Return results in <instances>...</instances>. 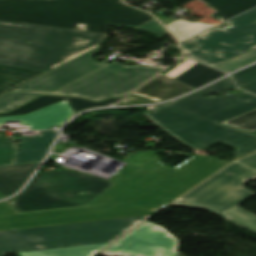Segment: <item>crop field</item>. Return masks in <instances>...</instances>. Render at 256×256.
I'll return each instance as SVG.
<instances>
[{
    "instance_id": "8a807250",
    "label": "crop field",
    "mask_w": 256,
    "mask_h": 256,
    "mask_svg": "<svg viewBox=\"0 0 256 256\" xmlns=\"http://www.w3.org/2000/svg\"><path fill=\"white\" fill-rule=\"evenodd\" d=\"M152 19L119 0H0V65L50 71L99 46L109 25Z\"/></svg>"
},
{
    "instance_id": "ac0d7876",
    "label": "crop field",
    "mask_w": 256,
    "mask_h": 256,
    "mask_svg": "<svg viewBox=\"0 0 256 256\" xmlns=\"http://www.w3.org/2000/svg\"><path fill=\"white\" fill-rule=\"evenodd\" d=\"M158 157L128 167L112 179L118 183L87 206L18 213L9 202H1L0 230L154 214L229 163L195 155L170 169Z\"/></svg>"
},
{
    "instance_id": "34b2d1b8",
    "label": "crop field",
    "mask_w": 256,
    "mask_h": 256,
    "mask_svg": "<svg viewBox=\"0 0 256 256\" xmlns=\"http://www.w3.org/2000/svg\"><path fill=\"white\" fill-rule=\"evenodd\" d=\"M232 88L228 76L200 90L201 94L155 106L143 114L194 149L206 150L209 144L222 142L236 148L237 158L256 151V135L218 123L256 108V96L245 91L210 99L203 96Z\"/></svg>"
},
{
    "instance_id": "412701ff",
    "label": "crop field",
    "mask_w": 256,
    "mask_h": 256,
    "mask_svg": "<svg viewBox=\"0 0 256 256\" xmlns=\"http://www.w3.org/2000/svg\"><path fill=\"white\" fill-rule=\"evenodd\" d=\"M149 216L0 231V256H93Z\"/></svg>"
},
{
    "instance_id": "f4fd0767",
    "label": "crop field",
    "mask_w": 256,
    "mask_h": 256,
    "mask_svg": "<svg viewBox=\"0 0 256 256\" xmlns=\"http://www.w3.org/2000/svg\"><path fill=\"white\" fill-rule=\"evenodd\" d=\"M229 171L235 174H226ZM253 178H256V153L233 161L173 203L208 209L256 232V216L236 206L254 193L241 185Z\"/></svg>"
},
{
    "instance_id": "dd49c442",
    "label": "crop field",
    "mask_w": 256,
    "mask_h": 256,
    "mask_svg": "<svg viewBox=\"0 0 256 256\" xmlns=\"http://www.w3.org/2000/svg\"><path fill=\"white\" fill-rule=\"evenodd\" d=\"M113 184L72 171H37L11 204L18 212L87 205Z\"/></svg>"
},
{
    "instance_id": "e52e79f7",
    "label": "crop field",
    "mask_w": 256,
    "mask_h": 256,
    "mask_svg": "<svg viewBox=\"0 0 256 256\" xmlns=\"http://www.w3.org/2000/svg\"><path fill=\"white\" fill-rule=\"evenodd\" d=\"M227 23L226 30L214 27L182 42L186 54L213 66L256 47V8Z\"/></svg>"
},
{
    "instance_id": "d8731c3e",
    "label": "crop field",
    "mask_w": 256,
    "mask_h": 256,
    "mask_svg": "<svg viewBox=\"0 0 256 256\" xmlns=\"http://www.w3.org/2000/svg\"><path fill=\"white\" fill-rule=\"evenodd\" d=\"M165 67L114 62L50 95L79 96L93 101L124 96Z\"/></svg>"
},
{
    "instance_id": "5a996713",
    "label": "crop field",
    "mask_w": 256,
    "mask_h": 256,
    "mask_svg": "<svg viewBox=\"0 0 256 256\" xmlns=\"http://www.w3.org/2000/svg\"><path fill=\"white\" fill-rule=\"evenodd\" d=\"M178 240L163 227L144 222L102 251L106 256H177Z\"/></svg>"
},
{
    "instance_id": "3316defc",
    "label": "crop field",
    "mask_w": 256,
    "mask_h": 256,
    "mask_svg": "<svg viewBox=\"0 0 256 256\" xmlns=\"http://www.w3.org/2000/svg\"><path fill=\"white\" fill-rule=\"evenodd\" d=\"M101 47H97L86 54L34 79L33 81L15 89L32 91H55L63 86L91 73L106 65L107 61L98 63L90 57Z\"/></svg>"
},
{
    "instance_id": "28ad6ade",
    "label": "crop field",
    "mask_w": 256,
    "mask_h": 256,
    "mask_svg": "<svg viewBox=\"0 0 256 256\" xmlns=\"http://www.w3.org/2000/svg\"><path fill=\"white\" fill-rule=\"evenodd\" d=\"M72 114L73 111L64 100L26 115L0 117V124L21 120V124H28L30 130L51 129V126L62 125Z\"/></svg>"
},
{
    "instance_id": "d1516ede",
    "label": "crop field",
    "mask_w": 256,
    "mask_h": 256,
    "mask_svg": "<svg viewBox=\"0 0 256 256\" xmlns=\"http://www.w3.org/2000/svg\"><path fill=\"white\" fill-rule=\"evenodd\" d=\"M192 90L194 89L166 75L160 74L132 95L160 102L175 98Z\"/></svg>"
},
{
    "instance_id": "22f410ed",
    "label": "crop field",
    "mask_w": 256,
    "mask_h": 256,
    "mask_svg": "<svg viewBox=\"0 0 256 256\" xmlns=\"http://www.w3.org/2000/svg\"><path fill=\"white\" fill-rule=\"evenodd\" d=\"M37 165L29 163L0 167V195L5 198L14 194Z\"/></svg>"
},
{
    "instance_id": "cbeb9de0",
    "label": "crop field",
    "mask_w": 256,
    "mask_h": 256,
    "mask_svg": "<svg viewBox=\"0 0 256 256\" xmlns=\"http://www.w3.org/2000/svg\"><path fill=\"white\" fill-rule=\"evenodd\" d=\"M66 99L69 105L71 106L74 113L79 112L83 109L91 108V107H98V106H104L108 104H112L116 102L117 100L121 99H110L107 101H103L100 103L92 102L80 98H69V97H51V96H41L38 99L34 100L33 102L22 106L8 114H1L0 116H9V115H19V114H26L31 111L37 110L39 108L48 106L50 104L56 103L58 101Z\"/></svg>"
},
{
    "instance_id": "5142ce71",
    "label": "crop field",
    "mask_w": 256,
    "mask_h": 256,
    "mask_svg": "<svg viewBox=\"0 0 256 256\" xmlns=\"http://www.w3.org/2000/svg\"><path fill=\"white\" fill-rule=\"evenodd\" d=\"M57 131H43L38 136L23 137L15 163L41 161Z\"/></svg>"
},
{
    "instance_id": "d9b57169",
    "label": "crop field",
    "mask_w": 256,
    "mask_h": 256,
    "mask_svg": "<svg viewBox=\"0 0 256 256\" xmlns=\"http://www.w3.org/2000/svg\"><path fill=\"white\" fill-rule=\"evenodd\" d=\"M46 73L30 69L0 66V96Z\"/></svg>"
},
{
    "instance_id": "733c2abd",
    "label": "crop field",
    "mask_w": 256,
    "mask_h": 256,
    "mask_svg": "<svg viewBox=\"0 0 256 256\" xmlns=\"http://www.w3.org/2000/svg\"><path fill=\"white\" fill-rule=\"evenodd\" d=\"M223 74L225 73L198 63L175 79L196 89Z\"/></svg>"
},
{
    "instance_id": "4a817a6b",
    "label": "crop field",
    "mask_w": 256,
    "mask_h": 256,
    "mask_svg": "<svg viewBox=\"0 0 256 256\" xmlns=\"http://www.w3.org/2000/svg\"><path fill=\"white\" fill-rule=\"evenodd\" d=\"M218 12L210 15L214 18L222 15L223 20L256 5V0H203ZM227 20V19H226Z\"/></svg>"
},
{
    "instance_id": "bc2a9ffb",
    "label": "crop field",
    "mask_w": 256,
    "mask_h": 256,
    "mask_svg": "<svg viewBox=\"0 0 256 256\" xmlns=\"http://www.w3.org/2000/svg\"><path fill=\"white\" fill-rule=\"evenodd\" d=\"M44 92L14 91L0 97V112H8ZM38 97V96H37Z\"/></svg>"
},
{
    "instance_id": "214f88e0",
    "label": "crop field",
    "mask_w": 256,
    "mask_h": 256,
    "mask_svg": "<svg viewBox=\"0 0 256 256\" xmlns=\"http://www.w3.org/2000/svg\"><path fill=\"white\" fill-rule=\"evenodd\" d=\"M212 26L211 24L206 23H191L183 20H179L173 23L166 25V27L173 33V35L179 40H183L195 33H198L208 27Z\"/></svg>"
},
{
    "instance_id": "92a150f3",
    "label": "crop field",
    "mask_w": 256,
    "mask_h": 256,
    "mask_svg": "<svg viewBox=\"0 0 256 256\" xmlns=\"http://www.w3.org/2000/svg\"><path fill=\"white\" fill-rule=\"evenodd\" d=\"M249 132L256 131V109L221 122Z\"/></svg>"
},
{
    "instance_id": "dafd665d",
    "label": "crop field",
    "mask_w": 256,
    "mask_h": 256,
    "mask_svg": "<svg viewBox=\"0 0 256 256\" xmlns=\"http://www.w3.org/2000/svg\"><path fill=\"white\" fill-rule=\"evenodd\" d=\"M255 61H256V49H253V50L248 51L242 55H239L235 58H232L228 61H225L221 64L216 65V68H218L224 72H230L234 69H237L244 65H248Z\"/></svg>"
},
{
    "instance_id": "00972430",
    "label": "crop field",
    "mask_w": 256,
    "mask_h": 256,
    "mask_svg": "<svg viewBox=\"0 0 256 256\" xmlns=\"http://www.w3.org/2000/svg\"><path fill=\"white\" fill-rule=\"evenodd\" d=\"M233 77L238 86L248 82L252 83L251 91L256 93V65L233 74Z\"/></svg>"
},
{
    "instance_id": "a9b5d70f",
    "label": "crop field",
    "mask_w": 256,
    "mask_h": 256,
    "mask_svg": "<svg viewBox=\"0 0 256 256\" xmlns=\"http://www.w3.org/2000/svg\"><path fill=\"white\" fill-rule=\"evenodd\" d=\"M16 147L14 144L0 137V165L11 164L14 159Z\"/></svg>"
},
{
    "instance_id": "4177f3b9",
    "label": "crop field",
    "mask_w": 256,
    "mask_h": 256,
    "mask_svg": "<svg viewBox=\"0 0 256 256\" xmlns=\"http://www.w3.org/2000/svg\"><path fill=\"white\" fill-rule=\"evenodd\" d=\"M136 29L154 33L157 38H161L168 33L155 19Z\"/></svg>"
},
{
    "instance_id": "730fd06b",
    "label": "crop field",
    "mask_w": 256,
    "mask_h": 256,
    "mask_svg": "<svg viewBox=\"0 0 256 256\" xmlns=\"http://www.w3.org/2000/svg\"><path fill=\"white\" fill-rule=\"evenodd\" d=\"M196 63L197 62L188 59L185 62H183L182 64H180L179 66H177L176 68H174L173 70H171L170 72H168L166 75L174 78L177 75L184 72L185 70H187L188 68H190L191 66L195 65Z\"/></svg>"
},
{
    "instance_id": "eef30255",
    "label": "crop field",
    "mask_w": 256,
    "mask_h": 256,
    "mask_svg": "<svg viewBox=\"0 0 256 256\" xmlns=\"http://www.w3.org/2000/svg\"><path fill=\"white\" fill-rule=\"evenodd\" d=\"M147 103H153L149 100L143 99L141 97L138 96H129L127 97L125 100H123L122 102H120L117 105H125V104H147Z\"/></svg>"
},
{
    "instance_id": "ae1a2a85",
    "label": "crop field",
    "mask_w": 256,
    "mask_h": 256,
    "mask_svg": "<svg viewBox=\"0 0 256 256\" xmlns=\"http://www.w3.org/2000/svg\"><path fill=\"white\" fill-rule=\"evenodd\" d=\"M251 85H252V84L248 83V84H245V85L240 86V87H242V88L247 89V90L250 91Z\"/></svg>"
},
{
    "instance_id": "d3111659",
    "label": "crop field",
    "mask_w": 256,
    "mask_h": 256,
    "mask_svg": "<svg viewBox=\"0 0 256 256\" xmlns=\"http://www.w3.org/2000/svg\"><path fill=\"white\" fill-rule=\"evenodd\" d=\"M197 93H201V92L197 91V92H195V93H192V94H190V95H193V94H197ZM187 96H189V95H187Z\"/></svg>"
},
{
    "instance_id": "750c4746",
    "label": "crop field",
    "mask_w": 256,
    "mask_h": 256,
    "mask_svg": "<svg viewBox=\"0 0 256 256\" xmlns=\"http://www.w3.org/2000/svg\"><path fill=\"white\" fill-rule=\"evenodd\" d=\"M1 198V197H0Z\"/></svg>"
}]
</instances>
